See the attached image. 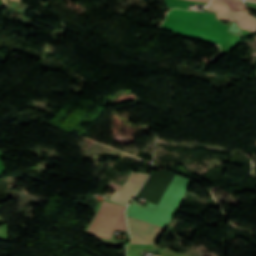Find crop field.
<instances>
[{"instance_id":"obj_1","label":"crop field","mask_w":256,"mask_h":256,"mask_svg":"<svg viewBox=\"0 0 256 256\" xmlns=\"http://www.w3.org/2000/svg\"><path fill=\"white\" fill-rule=\"evenodd\" d=\"M205 23L225 32L224 35L222 32L204 24L195 14ZM191 12V11H183L179 9H172L169 11L168 16L165 20L164 23L172 27L178 32L181 33H187V34H192V35H197L213 40L220 41L222 35V39L220 42L197 37V36H192V35H186V34H181L167 26L166 24H162L161 27L165 28L167 30L173 31L179 35L182 36H188V37H193V38H198L214 43L221 44L226 33H227V25L220 24V21L216 20L215 14H209L206 12L203 13H196V12Z\"/></svg>"},{"instance_id":"obj_2","label":"crop field","mask_w":256,"mask_h":256,"mask_svg":"<svg viewBox=\"0 0 256 256\" xmlns=\"http://www.w3.org/2000/svg\"><path fill=\"white\" fill-rule=\"evenodd\" d=\"M124 206L103 201L87 234L109 239L113 230L126 229Z\"/></svg>"},{"instance_id":"obj_3","label":"crop field","mask_w":256,"mask_h":256,"mask_svg":"<svg viewBox=\"0 0 256 256\" xmlns=\"http://www.w3.org/2000/svg\"><path fill=\"white\" fill-rule=\"evenodd\" d=\"M128 223L131 233V242L133 244H154L163 227L146 223L140 220L129 218Z\"/></svg>"},{"instance_id":"obj_4","label":"crop field","mask_w":256,"mask_h":256,"mask_svg":"<svg viewBox=\"0 0 256 256\" xmlns=\"http://www.w3.org/2000/svg\"><path fill=\"white\" fill-rule=\"evenodd\" d=\"M147 176V174L132 172L122 187L111 182L109 188L115 189L117 191L110 197V199L119 203L128 204L138 189L145 182Z\"/></svg>"},{"instance_id":"obj_5","label":"crop field","mask_w":256,"mask_h":256,"mask_svg":"<svg viewBox=\"0 0 256 256\" xmlns=\"http://www.w3.org/2000/svg\"><path fill=\"white\" fill-rule=\"evenodd\" d=\"M207 10L217 12V19L236 21V24L242 29L256 33V20L253 19L249 13L230 12L227 11L226 6L213 4H209Z\"/></svg>"},{"instance_id":"obj_6","label":"crop field","mask_w":256,"mask_h":256,"mask_svg":"<svg viewBox=\"0 0 256 256\" xmlns=\"http://www.w3.org/2000/svg\"><path fill=\"white\" fill-rule=\"evenodd\" d=\"M211 3L227 5L229 10L247 12L241 0H212Z\"/></svg>"},{"instance_id":"obj_7","label":"crop field","mask_w":256,"mask_h":256,"mask_svg":"<svg viewBox=\"0 0 256 256\" xmlns=\"http://www.w3.org/2000/svg\"><path fill=\"white\" fill-rule=\"evenodd\" d=\"M193 1H204V2H209V0H193Z\"/></svg>"},{"instance_id":"obj_8","label":"crop field","mask_w":256,"mask_h":256,"mask_svg":"<svg viewBox=\"0 0 256 256\" xmlns=\"http://www.w3.org/2000/svg\"><path fill=\"white\" fill-rule=\"evenodd\" d=\"M250 1H256V0H250Z\"/></svg>"}]
</instances>
